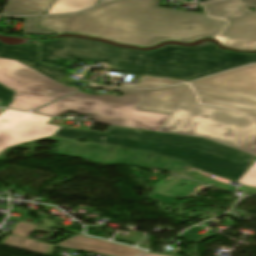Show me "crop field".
Here are the masks:
<instances>
[{
	"mask_svg": "<svg viewBox=\"0 0 256 256\" xmlns=\"http://www.w3.org/2000/svg\"><path fill=\"white\" fill-rule=\"evenodd\" d=\"M225 46L229 47H234L238 49H256V46L252 45H242V44H232V43H227L225 38L217 37Z\"/></svg>",
	"mask_w": 256,
	"mask_h": 256,
	"instance_id": "19",
	"label": "crop field"
},
{
	"mask_svg": "<svg viewBox=\"0 0 256 256\" xmlns=\"http://www.w3.org/2000/svg\"><path fill=\"white\" fill-rule=\"evenodd\" d=\"M92 87L143 96L135 110L169 115L162 132L201 137L256 155V113L200 105L188 84L149 90Z\"/></svg>",
	"mask_w": 256,
	"mask_h": 256,
	"instance_id": "4",
	"label": "crop field"
},
{
	"mask_svg": "<svg viewBox=\"0 0 256 256\" xmlns=\"http://www.w3.org/2000/svg\"><path fill=\"white\" fill-rule=\"evenodd\" d=\"M100 1H102V0H99L98 2H100Z\"/></svg>",
	"mask_w": 256,
	"mask_h": 256,
	"instance_id": "22",
	"label": "crop field"
},
{
	"mask_svg": "<svg viewBox=\"0 0 256 256\" xmlns=\"http://www.w3.org/2000/svg\"><path fill=\"white\" fill-rule=\"evenodd\" d=\"M3 244L22 248V249H27L35 252L46 253L50 255L53 254V251L55 249V246L21 238L11 234H9L7 240Z\"/></svg>",
	"mask_w": 256,
	"mask_h": 256,
	"instance_id": "12",
	"label": "crop field"
},
{
	"mask_svg": "<svg viewBox=\"0 0 256 256\" xmlns=\"http://www.w3.org/2000/svg\"><path fill=\"white\" fill-rule=\"evenodd\" d=\"M238 183L247 185L250 187H256V162L247 171V173L238 181Z\"/></svg>",
	"mask_w": 256,
	"mask_h": 256,
	"instance_id": "17",
	"label": "crop field"
},
{
	"mask_svg": "<svg viewBox=\"0 0 256 256\" xmlns=\"http://www.w3.org/2000/svg\"><path fill=\"white\" fill-rule=\"evenodd\" d=\"M143 256H167V255H160V254L148 253V254L143 255Z\"/></svg>",
	"mask_w": 256,
	"mask_h": 256,
	"instance_id": "20",
	"label": "crop field"
},
{
	"mask_svg": "<svg viewBox=\"0 0 256 256\" xmlns=\"http://www.w3.org/2000/svg\"><path fill=\"white\" fill-rule=\"evenodd\" d=\"M205 1H208V0H205Z\"/></svg>",
	"mask_w": 256,
	"mask_h": 256,
	"instance_id": "23",
	"label": "crop field"
},
{
	"mask_svg": "<svg viewBox=\"0 0 256 256\" xmlns=\"http://www.w3.org/2000/svg\"><path fill=\"white\" fill-rule=\"evenodd\" d=\"M141 98L129 94L91 95L80 91L36 112L56 117L67 112L89 114L99 123L159 131L167 116L134 111Z\"/></svg>",
	"mask_w": 256,
	"mask_h": 256,
	"instance_id": "5",
	"label": "crop field"
},
{
	"mask_svg": "<svg viewBox=\"0 0 256 256\" xmlns=\"http://www.w3.org/2000/svg\"><path fill=\"white\" fill-rule=\"evenodd\" d=\"M32 230H39L44 232H50V229L34 226L26 223L19 222L16 228L11 232L12 234L28 238Z\"/></svg>",
	"mask_w": 256,
	"mask_h": 256,
	"instance_id": "16",
	"label": "crop field"
},
{
	"mask_svg": "<svg viewBox=\"0 0 256 256\" xmlns=\"http://www.w3.org/2000/svg\"><path fill=\"white\" fill-rule=\"evenodd\" d=\"M2 110H4V109H0V112H1Z\"/></svg>",
	"mask_w": 256,
	"mask_h": 256,
	"instance_id": "21",
	"label": "crop field"
},
{
	"mask_svg": "<svg viewBox=\"0 0 256 256\" xmlns=\"http://www.w3.org/2000/svg\"><path fill=\"white\" fill-rule=\"evenodd\" d=\"M158 0H111L87 12L42 17L39 27L80 33L123 44L151 46L165 40L191 42L221 36L228 42L256 45V0L205 3L211 18L157 7ZM203 5V4H202Z\"/></svg>",
	"mask_w": 256,
	"mask_h": 256,
	"instance_id": "1",
	"label": "crop field"
},
{
	"mask_svg": "<svg viewBox=\"0 0 256 256\" xmlns=\"http://www.w3.org/2000/svg\"><path fill=\"white\" fill-rule=\"evenodd\" d=\"M14 92L0 85V106H6L11 103Z\"/></svg>",
	"mask_w": 256,
	"mask_h": 256,
	"instance_id": "18",
	"label": "crop field"
},
{
	"mask_svg": "<svg viewBox=\"0 0 256 256\" xmlns=\"http://www.w3.org/2000/svg\"><path fill=\"white\" fill-rule=\"evenodd\" d=\"M59 58L109 61L115 70L186 81L256 62V54L226 52L210 42L196 47L167 45L147 52L75 38L40 44V62L58 66Z\"/></svg>",
	"mask_w": 256,
	"mask_h": 256,
	"instance_id": "3",
	"label": "crop field"
},
{
	"mask_svg": "<svg viewBox=\"0 0 256 256\" xmlns=\"http://www.w3.org/2000/svg\"><path fill=\"white\" fill-rule=\"evenodd\" d=\"M0 58L16 59L64 85H73L64 82L65 76L69 73L63 68L55 69L54 66L43 65L38 62V44L33 46H7L0 43Z\"/></svg>",
	"mask_w": 256,
	"mask_h": 256,
	"instance_id": "8",
	"label": "crop field"
},
{
	"mask_svg": "<svg viewBox=\"0 0 256 256\" xmlns=\"http://www.w3.org/2000/svg\"><path fill=\"white\" fill-rule=\"evenodd\" d=\"M0 83L16 91L10 107L38 108L79 88L66 87L15 61L0 59Z\"/></svg>",
	"mask_w": 256,
	"mask_h": 256,
	"instance_id": "6",
	"label": "crop field"
},
{
	"mask_svg": "<svg viewBox=\"0 0 256 256\" xmlns=\"http://www.w3.org/2000/svg\"><path fill=\"white\" fill-rule=\"evenodd\" d=\"M201 104L256 111V91L189 83Z\"/></svg>",
	"mask_w": 256,
	"mask_h": 256,
	"instance_id": "7",
	"label": "crop field"
},
{
	"mask_svg": "<svg viewBox=\"0 0 256 256\" xmlns=\"http://www.w3.org/2000/svg\"><path fill=\"white\" fill-rule=\"evenodd\" d=\"M50 120L51 117L6 109L0 115V152L8 146L56 135L144 150L234 182L256 159V156L201 138L120 126H110L107 133L82 131L47 124Z\"/></svg>",
	"mask_w": 256,
	"mask_h": 256,
	"instance_id": "2",
	"label": "crop field"
},
{
	"mask_svg": "<svg viewBox=\"0 0 256 256\" xmlns=\"http://www.w3.org/2000/svg\"><path fill=\"white\" fill-rule=\"evenodd\" d=\"M40 20V17H34V18H26L25 24H24V32L25 34H53V32L49 30H43L37 27V24Z\"/></svg>",
	"mask_w": 256,
	"mask_h": 256,
	"instance_id": "15",
	"label": "crop field"
},
{
	"mask_svg": "<svg viewBox=\"0 0 256 256\" xmlns=\"http://www.w3.org/2000/svg\"><path fill=\"white\" fill-rule=\"evenodd\" d=\"M185 81L143 76L142 82L136 86L121 85L127 87H157L162 85L178 84Z\"/></svg>",
	"mask_w": 256,
	"mask_h": 256,
	"instance_id": "14",
	"label": "crop field"
},
{
	"mask_svg": "<svg viewBox=\"0 0 256 256\" xmlns=\"http://www.w3.org/2000/svg\"><path fill=\"white\" fill-rule=\"evenodd\" d=\"M97 1L98 0H55L48 14L79 11L95 5Z\"/></svg>",
	"mask_w": 256,
	"mask_h": 256,
	"instance_id": "13",
	"label": "crop field"
},
{
	"mask_svg": "<svg viewBox=\"0 0 256 256\" xmlns=\"http://www.w3.org/2000/svg\"><path fill=\"white\" fill-rule=\"evenodd\" d=\"M193 82L256 90V65H249Z\"/></svg>",
	"mask_w": 256,
	"mask_h": 256,
	"instance_id": "10",
	"label": "crop field"
},
{
	"mask_svg": "<svg viewBox=\"0 0 256 256\" xmlns=\"http://www.w3.org/2000/svg\"><path fill=\"white\" fill-rule=\"evenodd\" d=\"M54 0H10L5 15H38L48 12Z\"/></svg>",
	"mask_w": 256,
	"mask_h": 256,
	"instance_id": "11",
	"label": "crop field"
},
{
	"mask_svg": "<svg viewBox=\"0 0 256 256\" xmlns=\"http://www.w3.org/2000/svg\"><path fill=\"white\" fill-rule=\"evenodd\" d=\"M58 245L76 250L91 251L115 256H136L145 252L80 235H76L59 243Z\"/></svg>",
	"mask_w": 256,
	"mask_h": 256,
	"instance_id": "9",
	"label": "crop field"
}]
</instances>
